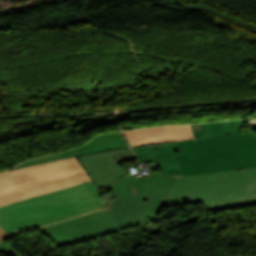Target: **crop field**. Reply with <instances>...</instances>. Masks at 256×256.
<instances>
[{
	"mask_svg": "<svg viewBox=\"0 0 256 256\" xmlns=\"http://www.w3.org/2000/svg\"><path fill=\"white\" fill-rule=\"evenodd\" d=\"M104 206L93 181L0 208V226L11 236Z\"/></svg>",
	"mask_w": 256,
	"mask_h": 256,
	"instance_id": "1",
	"label": "crop field"
},
{
	"mask_svg": "<svg viewBox=\"0 0 256 256\" xmlns=\"http://www.w3.org/2000/svg\"><path fill=\"white\" fill-rule=\"evenodd\" d=\"M203 202L207 213L256 205V169L179 176L162 208Z\"/></svg>",
	"mask_w": 256,
	"mask_h": 256,
	"instance_id": "2",
	"label": "crop field"
},
{
	"mask_svg": "<svg viewBox=\"0 0 256 256\" xmlns=\"http://www.w3.org/2000/svg\"><path fill=\"white\" fill-rule=\"evenodd\" d=\"M181 176L256 168L253 131L177 141Z\"/></svg>",
	"mask_w": 256,
	"mask_h": 256,
	"instance_id": "3",
	"label": "crop field"
},
{
	"mask_svg": "<svg viewBox=\"0 0 256 256\" xmlns=\"http://www.w3.org/2000/svg\"><path fill=\"white\" fill-rule=\"evenodd\" d=\"M90 180L76 156L16 170L12 168L0 172V207Z\"/></svg>",
	"mask_w": 256,
	"mask_h": 256,
	"instance_id": "4",
	"label": "crop field"
},
{
	"mask_svg": "<svg viewBox=\"0 0 256 256\" xmlns=\"http://www.w3.org/2000/svg\"><path fill=\"white\" fill-rule=\"evenodd\" d=\"M176 178L148 173L135 181L131 175L126 176L107 187L115 198L105 201L107 209L126 230L157 222L156 215Z\"/></svg>",
	"mask_w": 256,
	"mask_h": 256,
	"instance_id": "5",
	"label": "crop field"
},
{
	"mask_svg": "<svg viewBox=\"0 0 256 256\" xmlns=\"http://www.w3.org/2000/svg\"><path fill=\"white\" fill-rule=\"evenodd\" d=\"M58 246L124 231L122 225L103 209L71 220L40 228Z\"/></svg>",
	"mask_w": 256,
	"mask_h": 256,
	"instance_id": "6",
	"label": "crop field"
},
{
	"mask_svg": "<svg viewBox=\"0 0 256 256\" xmlns=\"http://www.w3.org/2000/svg\"><path fill=\"white\" fill-rule=\"evenodd\" d=\"M133 158L130 148L78 157L99 190L126 176L117 163Z\"/></svg>",
	"mask_w": 256,
	"mask_h": 256,
	"instance_id": "7",
	"label": "crop field"
},
{
	"mask_svg": "<svg viewBox=\"0 0 256 256\" xmlns=\"http://www.w3.org/2000/svg\"><path fill=\"white\" fill-rule=\"evenodd\" d=\"M129 145L141 146L155 143L192 139L189 125L151 127L122 132Z\"/></svg>",
	"mask_w": 256,
	"mask_h": 256,
	"instance_id": "8",
	"label": "crop field"
},
{
	"mask_svg": "<svg viewBox=\"0 0 256 256\" xmlns=\"http://www.w3.org/2000/svg\"><path fill=\"white\" fill-rule=\"evenodd\" d=\"M129 147L127 143L125 142L123 136L116 132V133H107V134H102L97 137H95L93 140L88 142L87 144L75 148L71 151L39 158V159H34L30 161H26L21 163L20 165L14 167L19 168L27 165H33V164H40L44 162H50L70 156H82V155H88L89 154H94V153H99L103 151H108V150H114V149H120V148H125Z\"/></svg>",
	"mask_w": 256,
	"mask_h": 256,
	"instance_id": "9",
	"label": "crop field"
},
{
	"mask_svg": "<svg viewBox=\"0 0 256 256\" xmlns=\"http://www.w3.org/2000/svg\"><path fill=\"white\" fill-rule=\"evenodd\" d=\"M139 162L159 161L161 173L180 175L175 143H163L132 148Z\"/></svg>",
	"mask_w": 256,
	"mask_h": 256,
	"instance_id": "10",
	"label": "crop field"
},
{
	"mask_svg": "<svg viewBox=\"0 0 256 256\" xmlns=\"http://www.w3.org/2000/svg\"><path fill=\"white\" fill-rule=\"evenodd\" d=\"M0 251L11 253L14 256H22L19 252H17L15 249H13L10 245H8L4 241L0 242Z\"/></svg>",
	"mask_w": 256,
	"mask_h": 256,
	"instance_id": "11",
	"label": "crop field"
},
{
	"mask_svg": "<svg viewBox=\"0 0 256 256\" xmlns=\"http://www.w3.org/2000/svg\"><path fill=\"white\" fill-rule=\"evenodd\" d=\"M9 237V235L0 227V240Z\"/></svg>",
	"mask_w": 256,
	"mask_h": 256,
	"instance_id": "12",
	"label": "crop field"
}]
</instances>
